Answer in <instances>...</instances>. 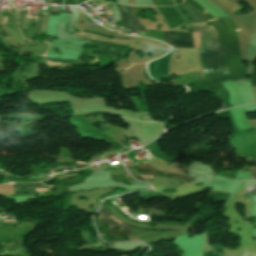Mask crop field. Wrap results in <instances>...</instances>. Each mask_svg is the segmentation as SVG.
<instances>
[{"label": "crop field", "mask_w": 256, "mask_h": 256, "mask_svg": "<svg viewBox=\"0 0 256 256\" xmlns=\"http://www.w3.org/2000/svg\"><path fill=\"white\" fill-rule=\"evenodd\" d=\"M86 238L90 241L91 244H93V241L90 239L89 236H86Z\"/></svg>", "instance_id": "11"}, {"label": "crop field", "mask_w": 256, "mask_h": 256, "mask_svg": "<svg viewBox=\"0 0 256 256\" xmlns=\"http://www.w3.org/2000/svg\"><path fill=\"white\" fill-rule=\"evenodd\" d=\"M46 188L42 189H36L37 191H45ZM36 190L28 189V190H14L15 193H21V192H36Z\"/></svg>", "instance_id": "8"}, {"label": "crop field", "mask_w": 256, "mask_h": 256, "mask_svg": "<svg viewBox=\"0 0 256 256\" xmlns=\"http://www.w3.org/2000/svg\"><path fill=\"white\" fill-rule=\"evenodd\" d=\"M148 33V36L149 37H152V38H155V39H159L161 41H163V38H164V32H159V31H147Z\"/></svg>", "instance_id": "7"}, {"label": "crop field", "mask_w": 256, "mask_h": 256, "mask_svg": "<svg viewBox=\"0 0 256 256\" xmlns=\"http://www.w3.org/2000/svg\"><path fill=\"white\" fill-rule=\"evenodd\" d=\"M98 214H99L100 218H99L98 220H96V222H98V223H100V224H102V225L107 224V225H109V228H116L117 226H119L120 229L130 230V231L133 230L132 228H135V227H132V226H130V225H128V224H125V223H123V222H121V221L115 219V218H114L112 215H110V213H109L105 208H103L102 206H101V208H100ZM109 215H110V216H109ZM108 216L111 217L112 219H114L115 221H117V222L119 221V222H118V223L115 222L114 220H112V219L109 218ZM137 229H140V228H137ZM143 230H151V229H143ZM152 231H164V230H152ZM171 231H176V230H171ZM101 232L110 234V235H112V236H121V237H128V236L131 234V232H129V231L115 230V229H108V230H103V229H101Z\"/></svg>", "instance_id": "2"}, {"label": "crop field", "mask_w": 256, "mask_h": 256, "mask_svg": "<svg viewBox=\"0 0 256 256\" xmlns=\"http://www.w3.org/2000/svg\"><path fill=\"white\" fill-rule=\"evenodd\" d=\"M7 175H8V174H6V173L0 171V176H7Z\"/></svg>", "instance_id": "10"}, {"label": "crop field", "mask_w": 256, "mask_h": 256, "mask_svg": "<svg viewBox=\"0 0 256 256\" xmlns=\"http://www.w3.org/2000/svg\"><path fill=\"white\" fill-rule=\"evenodd\" d=\"M116 5L120 11L123 21H125L128 25L126 29H145L143 25L140 23V21L138 20L133 7L119 5L117 3ZM125 8H127V12L123 11Z\"/></svg>", "instance_id": "3"}, {"label": "crop field", "mask_w": 256, "mask_h": 256, "mask_svg": "<svg viewBox=\"0 0 256 256\" xmlns=\"http://www.w3.org/2000/svg\"><path fill=\"white\" fill-rule=\"evenodd\" d=\"M15 188L17 189H24V188H40V187H48V186H44L41 183H34V184H14Z\"/></svg>", "instance_id": "6"}, {"label": "crop field", "mask_w": 256, "mask_h": 256, "mask_svg": "<svg viewBox=\"0 0 256 256\" xmlns=\"http://www.w3.org/2000/svg\"><path fill=\"white\" fill-rule=\"evenodd\" d=\"M47 61L62 62V63H68V64H83L82 61L56 60V59H49V58H47ZM48 65H50V66H71V65H63L61 63H48Z\"/></svg>", "instance_id": "5"}, {"label": "crop field", "mask_w": 256, "mask_h": 256, "mask_svg": "<svg viewBox=\"0 0 256 256\" xmlns=\"http://www.w3.org/2000/svg\"><path fill=\"white\" fill-rule=\"evenodd\" d=\"M135 168L137 170L141 171L142 173L146 174V175H159V176H162V177H171V178L176 177V178H179L178 180H181L180 178L182 177L181 181L194 180L193 178H191L189 176H182V175H178V174L160 172V171L154 169L153 167H151L147 164H143V163L135 166ZM175 180H177V179H175Z\"/></svg>", "instance_id": "4"}, {"label": "crop field", "mask_w": 256, "mask_h": 256, "mask_svg": "<svg viewBox=\"0 0 256 256\" xmlns=\"http://www.w3.org/2000/svg\"><path fill=\"white\" fill-rule=\"evenodd\" d=\"M5 179H17V180H23V179H21V178L13 177V176H11V175H9V176L5 177Z\"/></svg>", "instance_id": "9"}, {"label": "crop field", "mask_w": 256, "mask_h": 256, "mask_svg": "<svg viewBox=\"0 0 256 256\" xmlns=\"http://www.w3.org/2000/svg\"><path fill=\"white\" fill-rule=\"evenodd\" d=\"M141 177H147V178H152V176H141Z\"/></svg>", "instance_id": "12"}, {"label": "crop field", "mask_w": 256, "mask_h": 256, "mask_svg": "<svg viewBox=\"0 0 256 256\" xmlns=\"http://www.w3.org/2000/svg\"><path fill=\"white\" fill-rule=\"evenodd\" d=\"M3 221H9V220H3Z\"/></svg>", "instance_id": "13"}, {"label": "crop field", "mask_w": 256, "mask_h": 256, "mask_svg": "<svg viewBox=\"0 0 256 256\" xmlns=\"http://www.w3.org/2000/svg\"><path fill=\"white\" fill-rule=\"evenodd\" d=\"M46 181H48V180H46Z\"/></svg>", "instance_id": "14"}, {"label": "crop field", "mask_w": 256, "mask_h": 256, "mask_svg": "<svg viewBox=\"0 0 256 256\" xmlns=\"http://www.w3.org/2000/svg\"><path fill=\"white\" fill-rule=\"evenodd\" d=\"M173 33L178 34V38H174ZM193 33V47L199 48V32ZM192 33L185 32H165L164 42L175 48L180 47H192ZM200 60L202 63L204 73L213 72L212 70L217 69L221 70L223 75L228 74V69L223 57V54L220 52L209 51V50H200Z\"/></svg>", "instance_id": "1"}]
</instances>
